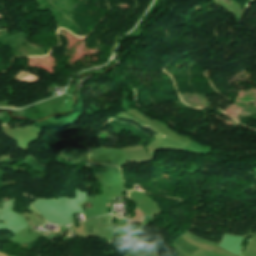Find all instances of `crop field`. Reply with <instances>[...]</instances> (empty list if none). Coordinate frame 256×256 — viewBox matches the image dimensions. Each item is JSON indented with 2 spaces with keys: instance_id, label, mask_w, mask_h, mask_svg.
I'll use <instances>...</instances> for the list:
<instances>
[{
  "instance_id": "crop-field-1",
  "label": "crop field",
  "mask_w": 256,
  "mask_h": 256,
  "mask_svg": "<svg viewBox=\"0 0 256 256\" xmlns=\"http://www.w3.org/2000/svg\"><path fill=\"white\" fill-rule=\"evenodd\" d=\"M24 73H26V72H24V71L19 72V73L15 76V78L18 77V76H20V75H22V74H24ZM38 79H39V78L36 77V78L30 80L29 82H36V81H38Z\"/></svg>"
},
{
  "instance_id": "crop-field-2",
  "label": "crop field",
  "mask_w": 256,
  "mask_h": 256,
  "mask_svg": "<svg viewBox=\"0 0 256 256\" xmlns=\"http://www.w3.org/2000/svg\"><path fill=\"white\" fill-rule=\"evenodd\" d=\"M0 19H2V16L0 15Z\"/></svg>"
},
{
  "instance_id": "crop-field-3",
  "label": "crop field",
  "mask_w": 256,
  "mask_h": 256,
  "mask_svg": "<svg viewBox=\"0 0 256 256\" xmlns=\"http://www.w3.org/2000/svg\"><path fill=\"white\" fill-rule=\"evenodd\" d=\"M107 206H111V204H108Z\"/></svg>"
}]
</instances>
